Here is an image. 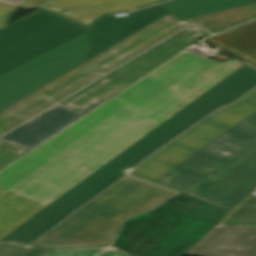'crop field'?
<instances>
[{
	"instance_id": "obj_13",
	"label": "crop field",
	"mask_w": 256,
	"mask_h": 256,
	"mask_svg": "<svg viewBox=\"0 0 256 256\" xmlns=\"http://www.w3.org/2000/svg\"><path fill=\"white\" fill-rule=\"evenodd\" d=\"M205 41L256 66V20L212 36Z\"/></svg>"
},
{
	"instance_id": "obj_18",
	"label": "crop field",
	"mask_w": 256,
	"mask_h": 256,
	"mask_svg": "<svg viewBox=\"0 0 256 256\" xmlns=\"http://www.w3.org/2000/svg\"><path fill=\"white\" fill-rule=\"evenodd\" d=\"M160 2V1H159ZM152 4H154V3H150V4H146V5H144V6H148V5H152ZM144 6H142V7H144ZM137 8H141V7H137ZM136 8V9H137Z\"/></svg>"
},
{
	"instance_id": "obj_12",
	"label": "crop field",
	"mask_w": 256,
	"mask_h": 256,
	"mask_svg": "<svg viewBox=\"0 0 256 256\" xmlns=\"http://www.w3.org/2000/svg\"><path fill=\"white\" fill-rule=\"evenodd\" d=\"M153 0H26L21 9L44 7L86 24L105 12L130 10Z\"/></svg>"
},
{
	"instance_id": "obj_6",
	"label": "crop field",
	"mask_w": 256,
	"mask_h": 256,
	"mask_svg": "<svg viewBox=\"0 0 256 256\" xmlns=\"http://www.w3.org/2000/svg\"><path fill=\"white\" fill-rule=\"evenodd\" d=\"M172 193L126 176L33 244L54 247L44 256H131L108 246L120 221Z\"/></svg>"
},
{
	"instance_id": "obj_7",
	"label": "crop field",
	"mask_w": 256,
	"mask_h": 256,
	"mask_svg": "<svg viewBox=\"0 0 256 256\" xmlns=\"http://www.w3.org/2000/svg\"><path fill=\"white\" fill-rule=\"evenodd\" d=\"M227 213L180 193L123 222L112 246L133 256H183Z\"/></svg>"
},
{
	"instance_id": "obj_16",
	"label": "crop field",
	"mask_w": 256,
	"mask_h": 256,
	"mask_svg": "<svg viewBox=\"0 0 256 256\" xmlns=\"http://www.w3.org/2000/svg\"><path fill=\"white\" fill-rule=\"evenodd\" d=\"M17 10V8L0 5V28L8 24Z\"/></svg>"
},
{
	"instance_id": "obj_15",
	"label": "crop field",
	"mask_w": 256,
	"mask_h": 256,
	"mask_svg": "<svg viewBox=\"0 0 256 256\" xmlns=\"http://www.w3.org/2000/svg\"><path fill=\"white\" fill-rule=\"evenodd\" d=\"M27 151L28 150L0 142V169Z\"/></svg>"
},
{
	"instance_id": "obj_2",
	"label": "crop field",
	"mask_w": 256,
	"mask_h": 256,
	"mask_svg": "<svg viewBox=\"0 0 256 256\" xmlns=\"http://www.w3.org/2000/svg\"><path fill=\"white\" fill-rule=\"evenodd\" d=\"M130 174L230 211L256 187V88Z\"/></svg>"
},
{
	"instance_id": "obj_17",
	"label": "crop field",
	"mask_w": 256,
	"mask_h": 256,
	"mask_svg": "<svg viewBox=\"0 0 256 256\" xmlns=\"http://www.w3.org/2000/svg\"><path fill=\"white\" fill-rule=\"evenodd\" d=\"M25 0H0V3L19 7ZM24 4V3H23Z\"/></svg>"
},
{
	"instance_id": "obj_1",
	"label": "crop field",
	"mask_w": 256,
	"mask_h": 256,
	"mask_svg": "<svg viewBox=\"0 0 256 256\" xmlns=\"http://www.w3.org/2000/svg\"><path fill=\"white\" fill-rule=\"evenodd\" d=\"M242 64L184 51L1 170L0 239Z\"/></svg>"
},
{
	"instance_id": "obj_10",
	"label": "crop field",
	"mask_w": 256,
	"mask_h": 256,
	"mask_svg": "<svg viewBox=\"0 0 256 256\" xmlns=\"http://www.w3.org/2000/svg\"><path fill=\"white\" fill-rule=\"evenodd\" d=\"M186 254L256 256V196L243 200Z\"/></svg>"
},
{
	"instance_id": "obj_3",
	"label": "crop field",
	"mask_w": 256,
	"mask_h": 256,
	"mask_svg": "<svg viewBox=\"0 0 256 256\" xmlns=\"http://www.w3.org/2000/svg\"><path fill=\"white\" fill-rule=\"evenodd\" d=\"M89 28L42 9L0 29V110L88 60Z\"/></svg>"
},
{
	"instance_id": "obj_14",
	"label": "crop field",
	"mask_w": 256,
	"mask_h": 256,
	"mask_svg": "<svg viewBox=\"0 0 256 256\" xmlns=\"http://www.w3.org/2000/svg\"><path fill=\"white\" fill-rule=\"evenodd\" d=\"M50 248L26 246L0 241V256H42Z\"/></svg>"
},
{
	"instance_id": "obj_11",
	"label": "crop field",
	"mask_w": 256,
	"mask_h": 256,
	"mask_svg": "<svg viewBox=\"0 0 256 256\" xmlns=\"http://www.w3.org/2000/svg\"><path fill=\"white\" fill-rule=\"evenodd\" d=\"M98 103H93L81 112L58 104L3 135L0 141L32 150Z\"/></svg>"
},
{
	"instance_id": "obj_4",
	"label": "crop field",
	"mask_w": 256,
	"mask_h": 256,
	"mask_svg": "<svg viewBox=\"0 0 256 256\" xmlns=\"http://www.w3.org/2000/svg\"><path fill=\"white\" fill-rule=\"evenodd\" d=\"M254 86L256 69L244 64L1 240L28 245L74 209L124 176L122 170L133 167L180 132L216 108L232 103Z\"/></svg>"
},
{
	"instance_id": "obj_9",
	"label": "crop field",
	"mask_w": 256,
	"mask_h": 256,
	"mask_svg": "<svg viewBox=\"0 0 256 256\" xmlns=\"http://www.w3.org/2000/svg\"><path fill=\"white\" fill-rule=\"evenodd\" d=\"M204 34L198 27L188 26L112 72L111 77L91 84L60 104L81 111L95 101L101 102Z\"/></svg>"
},
{
	"instance_id": "obj_8",
	"label": "crop field",
	"mask_w": 256,
	"mask_h": 256,
	"mask_svg": "<svg viewBox=\"0 0 256 256\" xmlns=\"http://www.w3.org/2000/svg\"><path fill=\"white\" fill-rule=\"evenodd\" d=\"M254 2L256 0H171L126 13L127 16L104 15L89 26L93 42L90 58L170 12L178 20H184Z\"/></svg>"
},
{
	"instance_id": "obj_5",
	"label": "crop field",
	"mask_w": 256,
	"mask_h": 256,
	"mask_svg": "<svg viewBox=\"0 0 256 256\" xmlns=\"http://www.w3.org/2000/svg\"><path fill=\"white\" fill-rule=\"evenodd\" d=\"M255 16L256 3L184 21H178L170 13L0 111V135L188 23L212 32Z\"/></svg>"
}]
</instances>
